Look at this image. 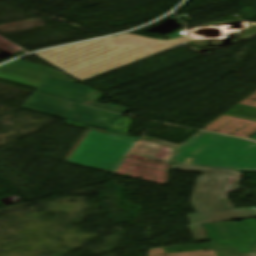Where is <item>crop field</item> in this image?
<instances>
[{
	"label": "crop field",
	"instance_id": "obj_1",
	"mask_svg": "<svg viewBox=\"0 0 256 256\" xmlns=\"http://www.w3.org/2000/svg\"><path fill=\"white\" fill-rule=\"evenodd\" d=\"M143 139L171 145L174 146V148L144 140L138 143L89 130L77 149L68 159V162L111 173H114L127 154L167 163L172 162L175 147L178 145L145 136H143Z\"/></svg>",
	"mask_w": 256,
	"mask_h": 256
},
{
	"label": "crop field",
	"instance_id": "obj_2",
	"mask_svg": "<svg viewBox=\"0 0 256 256\" xmlns=\"http://www.w3.org/2000/svg\"><path fill=\"white\" fill-rule=\"evenodd\" d=\"M171 170L202 172L199 176L191 202L197 213L233 209L227 195L236 191L241 173L229 169L176 164Z\"/></svg>",
	"mask_w": 256,
	"mask_h": 256
},
{
	"label": "crop field",
	"instance_id": "obj_3",
	"mask_svg": "<svg viewBox=\"0 0 256 256\" xmlns=\"http://www.w3.org/2000/svg\"><path fill=\"white\" fill-rule=\"evenodd\" d=\"M50 74V73H49ZM60 71L53 70L40 87L34 92L22 109L65 119L76 104L48 98L43 94L77 102L91 89L75 84L76 80L69 79Z\"/></svg>",
	"mask_w": 256,
	"mask_h": 256
},
{
	"label": "crop field",
	"instance_id": "obj_4",
	"mask_svg": "<svg viewBox=\"0 0 256 256\" xmlns=\"http://www.w3.org/2000/svg\"><path fill=\"white\" fill-rule=\"evenodd\" d=\"M189 164L256 171V143L226 136Z\"/></svg>",
	"mask_w": 256,
	"mask_h": 256
},
{
	"label": "crop field",
	"instance_id": "obj_5",
	"mask_svg": "<svg viewBox=\"0 0 256 256\" xmlns=\"http://www.w3.org/2000/svg\"><path fill=\"white\" fill-rule=\"evenodd\" d=\"M203 226L208 236L216 239L218 244L237 247L240 253L256 251V218L241 222L207 223Z\"/></svg>",
	"mask_w": 256,
	"mask_h": 256
},
{
	"label": "crop field",
	"instance_id": "obj_6",
	"mask_svg": "<svg viewBox=\"0 0 256 256\" xmlns=\"http://www.w3.org/2000/svg\"><path fill=\"white\" fill-rule=\"evenodd\" d=\"M50 70L51 68L18 60L0 66V79L36 88Z\"/></svg>",
	"mask_w": 256,
	"mask_h": 256
},
{
	"label": "crop field",
	"instance_id": "obj_7",
	"mask_svg": "<svg viewBox=\"0 0 256 256\" xmlns=\"http://www.w3.org/2000/svg\"><path fill=\"white\" fill-rule=\"evenodd\" d=\"M191 225L189 228L196 241L209 240L201 223L226 221L242 218H254L256 217V210L252 208L220 211L211 213H201L187 215Z\"/></svg>",
	"mask_w": 256,
	"mask_h": 256
},
{
	"label": "crop field",
	"instance_id": "obj_8",
	"mask_svg": "<svg viewBox=\"0 0 256 256\" xmlns=\"http://www.w3.org/2000/svg\"><path fill=\"white\" fill-rule=\"evenodd\" d=\"M224 135L200 131L185 143L176 148L173 163L188 164Z\"/></svg>",
	"mask_w": 256,
	"mask_h": 256
},
{
	"label": "crop field",
	"instance_id": "obj_9",
	"mask_svg": "<svg viewBox=\"0 0 256 256\" xmlns=\"http://www.w3.org/2000/svg\"><path fill=\"white\" fill-rule=\"evenodd\" d=\"M121 115L78 105L67 120L110 130L108 127Z\"/></svg>",
	"mask_w": 256,
	"mask_h": 256
},
{
	"label": "crop field",
	"instance_id": "obj_10",
	"mask_svg": "<svg viewBox=\"0 0 256 256\" xmlns=\"http://www.w3.org/2000/svg\"><path fill=\"white\" fill-rule=\"evenodd\" d=\"M101 97H102V94H100L96 90L92 89L86 95V97L82 100L81 104L88 105V106L95 107V108H99V109L112 111V112H117V113H121V114H124L125 112L128 111V109L113 106V105H110V104L103 105V104L95 103Z\"/></svg>",
	"mask_w": 256,
	"mask_h": 256
},
{
	"label": "crop field",
	"instance_id": "obj_11",
	"mask_svg": "<svg viewBox=\"0 0 256 256\" xmlns=\"http://www.w3.org/2000/svg\"><path fill=\"white\" fill-rule=\"evenodd\" d=\"M225 114L256 121V108L249 107V106L238 105L237 107L228 111Z\"/></svg>",
	"mask_w": 256,
	"mask_h": 256
},
{
	"label": "crop field",
	"instance_id": "obj_12",
	"mask_svg": "<svg viewBox=\"0 0 256 256\" xmlns=\"http://www.w3.org/2000/svg\"><path fill=\"white\" fill-rule=\"evenodd\" d=\"M130 122L131 119L121 117L119 120L115 121L113 124L110 125V127H112L111 131L128 134Z\"/></svg>",
	"mask_w": 256,
	"mask_h": 256
},
{
	"label": "crop field",
	"instance_id": "obj_13",
	"mask_svg": "<svg viewBox=\"0 0 256 256\" xmlns=\"http://www.w3.org/2000/svg\"><path fill=\"white\" fill-rule=\"evenodd\" d=\"M63 123L78 126V127H82V128H86V129H93V130L101 131V132H104V133L112 134V135H115V136L123 137V138L134 140V141L138 140L136 138H131L129 136H124V135H121V134H118V133H115V132H108V131H104V130H101V129H97V128H93V127H89V126H85V125H81V124L72 123L70 121H68V122L64 121Z\"/></svg>",
	"mask_w": 256,
	"mask_h": 256
},
{
	"label": "crop field",
	"instance_id": "obj_14",
	"mask_svg": "<svg viewBox=\"0 0 256 256\" xmlns=\"http://www.w3.org/2000/svg\"><path fill=\"white\" fill-rule=\"evenodd\" d=\"M251 139H255V140H256V135H255V136H253Z\"/></svg>",
	"mask_w": 256,
	"mask_h": 256
}]
</instances>
